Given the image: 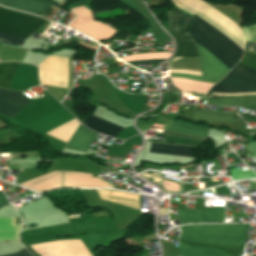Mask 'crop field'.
Listing matches in <instances>:
<instances>
[{"label": "crop field", "mask_w": 256, "mask_h": 256, "mask_svg": "<svg viewBox=\"0 0 256 256\" xmlns=\"http://www.w3.org/2000/svg\"><path fill=\"white\" fill-rule=\"evenodd\" d=\"M165 60L166 59H153V60L134 61V62H128V63L131 65H137V64H145V63H161Z\"/></svg>", "instance_id": "crop-field-13"}, {"label": "crop field", "mask_w": 256, "mask_h": 256, "mask_svg": "<svg viewBox=\"0 0 256 256\" xmlns=\"http://www.w3.org/2000/svg\"><path fill=\"white\" fill-rule=\"evenodd\" d=\"M0 42L1 43H5V44L16 45V46H20L21 47L23 42H24V40L0 34Z\"/></svg>", "instance_id": "crop-field-11"}, {"label": "crop field", "mask_w": 256, "mask_h": 256, "mask_svg": "<svg viewBox=\"0 0 256 256\" xmlns=\"http://www.w3.org/2000/svg\"><path fill=\"white\" fill-rule=\"evenodd\" d=\"M173 2L178 4L182 8L186 9L190 13L203 19L204 21H206L207 23H209L210 25H212L213 27L221 31L223 34L228 36L234 42L244 47V43L242 41L234 37L233 34L223 29L213 21L209 20L199 12L193 10L192 8L186 6L185 4L181 3L178 0H173ZM198 17H197L198 21L211 37H209L205 33V31L199 25L195 17H193V21L189 30L190 34L192 35V37L196 42H198L201 46H203L206 50H208L217 59H219L222 63H224L227 67L231 69L233 65L241 59L243 54V48L237 45L236 43H234L228 37L220 33L218 30H216L215 28H213L203 20L199 19Z\"/></svg>", "instance_id": "crop-field-1"}, {"label": "crop field", "mask_w": 256, "mask_h": 256, "mask_svg": "<svg viewBox=\"0 0 256 256\" xmlns=\"http://www.w3.org/2000/svg\"><path fill=\"white\" fill-rule=\"evenodd\" d=\"M9 163H13V162H9Z\"/></svg>", "instance_id": "crop-field-18"}, {"label": "crop field", "mask_w": 256, "mask_h": 256, "mask_svg": "<svg viewBox=\"0 0 256 256\" xmlns=\"http://www.w3.org/2000/svg\"><path fill=\"white\" fill-rule=\"evenodd\" d=\"M30 101L21 92L0 88V113L11 119Z\"/></svg>", "instance_id": "crop-field-5"}, {"label": "crop field", "mask_w": 256, "mask_h": 256, "mask_svg": "<svg viewBox=\"0 0 256 256\" xmlns=\"http://www.w3.org/2000/svg\"><path fill=\"white\" fill-rule=\"evenodd\" d=\"M194 147L152 143L149 152L192 157Z\"/></svg>", "instance_id": "crop-field-8"}, {"label": "crop field", "mask_w": 256, "mask_h": 256, "mask_svg": "<svg viewBox=\"0 0 256 256\" xmlns=\"http://www.w3.org/2000/svg\"><path fill=\"white\" fill-rule=\"evenodd\" d=\"M23 226H15V218H0V240H17Z\"/></svg>", "instance_id": "crop-field-9"}, {"label": "crop field", "mask_w": 256, "mask_h": 256, "mask_svg": "<svg viewBox=\"0 0 256 256\" xmlns=\"http://www.w3.org/2000/svg\"><path fill=\"white\" fill-rule=\"evenodd\" d=\"M236 67L256 75V56L245 52L243 59L238 63ZM236 67L232 69L225 78H223L220 82L216 83L209 90V92H256V76L240 70Z\"/></svg>", "instance_id": "crop-field-2"}, {"label": "crop field", "mask_w": 256, "mask_h": 256, "mask_svg": "<svg viewBox=\"0 0 256 256\" xmlns=\"http://www.w3.org/2000/svg\"><path fill=\"white\" fill-rule=\"evenodd\" d=\"M37 227L36 224L29 225V228Z\"/></svg>", "instance_id": "crop-field-17"}, {"label": "crop field", "mask_w": 256, "mask_h": 256, "mask_svg": "<svg viewBox=\"0 0 256 256\" xmlns=\"http://www.w3.org/2000/svg\"><path fill=\"white\" fill-rule=\"evenodd\" d=\"M247 41H256V25L244 29Z\"/></svg>", "instance_id": "crop-field-12"}, {"label": "crop field", "mask_w": 256, "mask_h": 256, "mask_svg": "<svg viewBox=\"0 0 256 256\" xmlns=\"http://www.w3.org/2000/svg\"><path fill=\"white\" fill-rule=\"evenodd\" d=\"M46 20L0 7V33L26 39Z\"/></svg>", "instance_id": "crop-field-3"}, {"label": "crop field", "mask_w": 256, "mask_h": 256, "mask_svg": "<svg viewBox=\"0 0 256 256\" xmlns=\"http://www.w3.org/2000/svg\"><path fill=\"white\" fill-rule=\"evenodd\" d=\"M42 84V83H41Z\"/></svg>", "instance_id": "crop-field-19"}, {"label": "crop field", "mask_w": 256, "mask_h": 256, "mask_svg": "<svg viewBox=\"0 0 256 256\" xmlns=\"http://www.w3.org/2000/svg\"><path fill=\"white\" fill-rule=\"evenodd\" d=\"M163 134H165V135H171V136H176V137H181V138L192 139V140H197V141H202V142H206L205 139H200V138H194V137L184 136V135L175 134V133H170V132H166V131H164Z\"/></svg>", "instance_id": "crop-field-14"}, {"label": "crop field", "mask_w": 256, "mask_h": 256, "mask_svg": "<svg viewBox=\"0 0 256 256\" xmlns=\"http://www.w3.org/2000/svg\"><path fill=\"white\" fill-rule=\"evenodd\" d=\"M246 50L256 51V42H247Z\"/></svg>", "instance_id": "crop-field-16"}, {"label": "crop field", "mask_w": 256, "mask_h": 256, "mask_svg": "<svg viewBox=\"0 0 256 256\" xmlns=\"http://www.w3.org/2000/svg\"><path fill=\"white\" fill-rule=\"evenodd\" d=\"M167 14L169 17L168 26L170 32L175 37L176 41V51L174 56L199 57L195 42L189 32H187L191 17L172 12H167Z\"/></svg>", "instance_id": "crop-field-4"}, {"label": "crop field", "mask_w": 256, "mask_h": 256, "mask_svg": "<svg viewBox=\"0 0 256 256\" xmlns=\"http://www.w3.org/2000/svg\"><path fill=\"white\" fill-rule=\"evenodd\" d=\"M100 199L112 201L141 210L142 196L124 191L95 190Z\"/></svg>", "instance_id": "crop-field-6"}, {"label": "crop field", "mask_w": 256, "mask_h": 256, "mask_svg": "<svg viewBox=\"0 0 256 256\" xmlns=\"http://www.w3.org/2000/svg\"><path fill=\"white\" fill-rule=\"evenodd\" d=\"M19 65L20 63L18 62L0 63V87L8 89L11 79Z\"/></svg>", "instance_id": "crop-field-10"}, {"label": "crop field", "mask_w": 256, "mask_h": 256, "mask_svg": "<svg viewBox=\"0 0 256 256\" xmlns=\"http://www.w3.org/2000/svg\"><path fill=\"white\" fill-rule=\"evenodd\" d=\"M29 252V251H28ZM27 252L26 248L17 252V253H14V254H10V255H6V256H32L30 255L29 253Z\"/></svg>", "instance_id": "crop-field-15"}, {"label": "crop field", "mask_w": 256, "mask_h": 256, "mask_svg": "<svg viewBox=\"0 0 256 256\" xmlns=\"http://www.w3.org/2000/svg\"><path fill=\"white\" fill-rule=\"evenodd\" d=\"M82 122L84 125H86L88 128L92 130H95L104 135H109L115 138H116V135L119 132H121L122 129H124L122 127L106 122L94 116L93 117L85 116Z\"/></svg>", "instance_id": "crop-field-7"}]
</instances>
